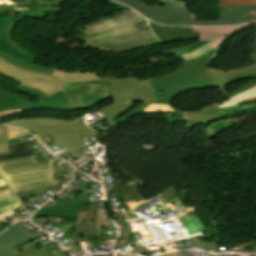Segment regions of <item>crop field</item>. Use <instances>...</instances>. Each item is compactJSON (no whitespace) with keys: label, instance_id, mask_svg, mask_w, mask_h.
<instances>
[{"label":"crop field","instance_id":"obj_22","mask_svg":"<svg viewBox=\"0 0 256 256\" xmlns=\"http://www.w3.org/2000/svg\"><path fill=\"white\" fill-rule=\"evenodd\" d=\"M246 26L241 27H224V28H192V31H199L202 34H232Z\"/></svg>","mask_w":256,"mask_h":256},{"label":"crop field","instance_id":"obj_6","mask_svg":"<svg viewBox=\"0 0 256 256\" xmlns=\"http://www.w3.org/2000/svg\"><path fill=\"white\" fill-rule=\"evenodd\" d=\"M69 86V88H67ZM64 93L72 110L86 108L112 98L109 82L93 81L64 84ZM83 97V98H81Z\"/></svg>","mask_w":256,"mask_h":256},{"label":"crop field","instance_id":"obj_4","mask_svg":"<svg viewBox=\"0 0 256 256\" xmlns=\"http://www.w3.org/2000/svg\"><path fill=\"white\" fill-rule=\"evenodd\" d=\"M99 80L110 81L114 104L98 109L110 121L140 102L149 104L156 100L148 78L137 80L135 76L126 78L99 76Z\"/></svg>","mask_w":256,"mask_h":256},{"label":"crop field","instance_id":"obj_37","mask_svg":"<svg viewBox=\"0 0 256 256\" xmlns=\"http://www.w3.org/2000/svg\"><path fill=\"white\" fill-rule=\"evenodd\" d=\"M0 92H3V93H5V94H7V95H9V96L14 97V98L20 99V100H22L23 102H25L26 104L32 103V102L29 101L28 99H26V98H24V97H21V96L14 95V94H12V93H10V92L4 90V89H1V88H0Z\"/></svg>","mask_w":256,"mask_h":256},{"label":"crop field","instance_id":"obj_44","mask_svg":"<svg viewBox=\"0 0 256 256\" xmlns=\"http://www.w3.org/2000/svg\"><path fill=\"white\" fill-rule=\"evenodd\" d=\"M222 45V44H221ZM221 45L220 46H218V48H217V50H216V52H215V54H214V56H213V58H212V60L209 62V64H208V66H210V64L212 63V61H213V59H214V57H215V55H216V53H217V51L219 50V48L221 47Z\"/></svg>","mask_w":256,"mask_h":256},{"label":"crop field","instance_id":"obj_45","mask_svg":"<svg viewBox=\"0 0 256 256\" xmlns=\"http://www.w3.org/2000/svg\"><path fill=\"white\" fill-rule=\"evenodd\" d=\"M135 186H136V189H137L138 195L140 196L141 200H144V198H143V197H142V195L140 194V191H139V189H138L137 184H135Z\"/></svg>","mask_w":256,"mask_h":256},{"label":"crop field","instance_id":"obj_26","mask_svg":"<svg viewBox=\"0 0 256 256\" xmlns=\"http://www.w3.org/2000/svg\"><path fill=\"white\" fill-rule=\"evenodd\" d=\"M117 192V195H122L125 202L133 201V197L130 191V184L127 185H117L112 187V190H108L107 193Z\"/></svg>","mask_w":256,"mask_h":256},{"label":"crop field","instance_id":"obj_38","mask_svg":"<svg viewBox=\"0 0 256 256\" xmlns=\"http://www.w3.org/2000/svg\"><path fill=\"white\" fill-rule=\"evenodd\" d=\"M10 196H13V193L10 191L9 188L0 190V200Z\"/></svg>","mask_w":256,"mask_h":256},{"label":"crop field","instance_id":"obj_13","mask_svg":"<svg viewBox=\"0 0 256 256\" xmlns=\"http://www.w3.org/2000/svg\"><path fill=\"white\" fill-rule=\"evenodd\" d=\"M96 205H89L88 211L77 213L74 231L70 234L74 242H80L94 237Z\"/></svg>","mask_w":256,"mask_h":256},{"label":"crop field","instance_id":"obj_5","mask_svg":"<svg viewBox=\"0 0 256 256\" xmlns=\"http://www.w3.org/2000/svg\"><path fill=\"white\" fill-rule=\"evenodd\" d=\"M84 41L90 46L106 51L131 49L159 42L151 30L138 32L135 24L88 35Z\"/></svg>","mask_w":256,"mask_h":256},{"label":"crop field","instance_id":"obj_48","mask_svg":"<svg viewBox=\"0 0 256 256\" xmlns=\"http://www.w3.org/2000/svg\"><path fill=\"white\" fill-rule=\"evenodd\" d=\"M8 226V225H7ZM7 226H0V231H2L4 228H6Z\"/></svg>","mask_w":256,"mask_h":256},{"label":"crop field","instance_id":"obj_16","mask_svg":"<svg viewBox=\"0 0 256 256\" xmlns=\"http://www.w3.org/2000/svg\"><path fill=\"white\" fill-rule=\"evenodd\" d=\"M88 202H76L70 204L54 205L51 207H46L44 209H39V211L33 217H45L56 215L61 216H76V212L85 211L88 207Z\"/></svg>","mask_w":256,"mask_h":256},{"label":"crop field","instance_id":"obj_21","mask_svg":"<svg viewBox=\"0 0 256 256\" xmlns=\"http://www.w3.org/2000/svg\"><path fill=\"white\" fill-rule=\"evenodd\" d=\"M230 35H203L199 36L200 41H209L200 48L206 53L220 45Z\"/></svg>","mask_w":256,"mask_h":256},{"label":"crop field","instance_id":"obj_18","mask_svg":"<svg viewBox=\"0 0 256 256\" xmlns=\"http://www.w3.org/2000/svg\"><path fill=\"white\" fill-rule=\"evenodd\" d=\"M13 20L6 18V17H0V51L6 54H10L13 57H19L23 60L29 61L34 63L35 56L30 52H25L23 54L19 53L17 50H15L5 39V32L7 27L12 24Z\"/></svg>","mask_w":256,"mask_h":256},{"label":"crop field","instance_id":"obj_15","mask_svg":"<svg viewBox=\"0 0 256 256\" xmlns=\"http://www.w3.org/2000/svg\"><path fill=\"white\" fill-rule=\"evenodd\" d=\"M149 24L154 35L161 43L182 41L198 37V32H191V28H169L157 26L150 22Z\"/></svg>","mask_w":256,"mask_h":256},{"label":"crop field","instance_id":"obj_49","mask_svg":"<svg viewBox=\"0 0 256 256\" xmlns=\"http://www.w3.org/2000/svg\"><path fill=\"white\" fill-rule=\"evenodd\" d=\"M1 185H6L3 180H0V186Z\"/></svg>","mask_w":256,"mask_h":256},{"label":"crop field","instance_id":"obj_9","mask_svg":"<svg viewBox=\"0 0 256 256\" xmlns=\"http://www.w3.org/2000/svg\"><path fill=\"white\" fill-rule=\"evenodd\" d=\"M5 123L15 125L26 130H34L37 136L71 129L85 124L80 117L70 121L50 118H32L13 120L10 123L9 121Z\"/></svg>","mask_w":256,"mask_h":256},{"label":"crop field","instance_id":"obj_39","mask_svg":"<svg viewBox=\"0 0 256 256\" xmlns=\"http://www.w3.org/2000/svg\"><path fill=\"white\" fill-rule=\"evenodd\" d=\"M199 43H201V42H196V43L184 46V47H179V48H174V49H170V50H165V52H174V51H178V50H182V49L191 48V47H193V46H195V45H197Z\"/></svg>","mask_w":256,"mask_h":256},{"label":"crop field","instance_id":"obj_35","mask_svg":"<svg viewBox=\"0 0 256 256\" xmlns=\"http://www.w3.org/2000/svg\"><path fill=\"white\" fill-rule=\"evenodd\" d=\"M160 1H163V2H166V3H169V4H172V5H175V6L184 8V9H186L187 6H188L186 3H183V2H181V1H176V0H160Z\"/></svg>","mask_w":256,"mask_h":256},{"label":"crop field","instance_id":"obj_11","mask_svg":"<svg viewBox=\"0 0 256 256\" xmlns=\"http://www.w3.org/2000/svg\"><path fill=\"white\" fill-rule=\"evenodd\" d=\"M0 57L7 60L12 65H15L27 70H31V71L51 74L57 77L58 79L64 81L65 83L98 80L97 74L65 73V72L55 71L51 69H46V68L38 67L35 64H31L29 62L23 61L19 58L15 59L1 52H0Z\"/></svg>","mask_w":256,"mask_h":256},{"label":"crop field","instance_id":"obj_41","mask_svg":"<svg viewBox=\"0 0 256 256\" xmlns=\"http://www.w3.org/2000/svg\"><path fill=\"white\" fill-rule=\"evenodd\" d=\"M16 112H22V110L17 109V110L5 111V112L0 113V117L5 116L7 114H11V113H16Z\"/></svg>","mask_w":256,"mask_h":256},{"label":"crop field","instance_id":"obj_29","mask_svg":"<svg viewBox=\"0 0 256 256\" xmlns=\"http://www.w3.org/2000/svg\"><path fill=\"white\" fill-rule=\"evenodd\" d=\"M18 206H21V204L15 196L1 200L0 201V213H3L10 209L16 208Z\"/></svg>","mask_w":256,"mask_h":256},{"label":"crop field","instance_id":"obj_14","mask_svg":"<svg viewBox=\"0 0 256 256\" xmlns=\"http://www.w3.org/2000/svg\"><path fill=\"white\" fill-rule=\"evenodd\" d=\"M36 238L20 224L15 223L0 234V254L16 249V247Z\"/></svg>","mask_w":256,"mask_h":256},{"label":"crop field","instance_id":"obj_30","mask_svg":"<svg viewBox=\"0 0 256 256\" xmlns=\"http://www.w3.org/2000/svg\"><path fill=\"white\" fill-rule=\"evenodd\" d=\"M145 106H147V104L144 103H140L138 104L136 107H134L133 109H131L130 111L126 112L123 116L115 119L114 121H112V123L116 126L118 124H120L121 122L129 119L130 117H132L133 115H135L136 113H138L140 110H142Z\"/></svg>","mask_w":256,"mask_h":256},{"label":"crop field","instance_id":"obj_3","mask_svg":"<svg viewBox=\"0 0 256 256\" xmlns=\"http://www.w3.org/2000/svg\"><path fill=\"white\" fill-rule=\"evenodd\" d=\"M58 158L36 162L34 156L0 162V173L14 193L52 185L53 163Z\"/></svg>","mask_w":256,"mask_h":256},{"label":"crop field","instance_id":"obj_8","mask_svg":"<svg viewBox=\"0 0 256 256\" xmlns=\"http://www.w3.org/2000/svg\"><path fill=\"white\" fill-rule=\"evenodd\" d=\"M16 89L31 93L32 95L37 96L41 102L26 105L22 101L16 100L14 98H11L9 96H6L0 93V111L17 109V108H21L23 112L31 109H53V110L70 111L67 104V99L63 91H59L58 93L48 97L34 89L23 87L20 85Z\"/></svg>","mask_w":256,"mask_h":256},{"label":"crop field","instance_id":"obj_23","mask_svg":"<svg viewBox=\"0 0 256 256\" xmlns=\"http://www.w3.org/2000/svg\"><path fill=\"white\" fill-rule=\"evenodd\" d=\"M251 77H256V72L255 73H251V74H247V75H240V76H236V77H232V78H228L227 83L228 82H233V81H237L240 79H245V78H251ZM256 85V80L255 81H250L248 83H246L245 85L241 86L240 88H237L233 91H231V93L229 94L231 97L245 91L248 90L252 87H254Z\"/></svg>","mask_w":256,"mask_h":256},{"label":"crop field","instance_id":"obj_24","mask_svg":"<svg viewBox=\"0 0 256 256\" xmlns=\"http://www.w3.org/2000/svg\"><path fill=\"white\" fill-rule=\"evenodd\" d=\"M254 97H256V88H254L246 93H243L239 96H236L228 101L219 103L218 105L220 108L234 106V105L241 104L242 103L241 101H243V100L251 99Z\"/></svg>","mask_w":256,"mask_h":256},{"label":"crop field","instance_id":"obj_33","mask_svg":"<svg viewBox=\"0 0 256 256\" xmlns=\"http://www.w3.org/2000/svg\"><path fill=\"white\" fill-rule=\"evenodd\" d=\"M16 22L14 21L13 24L11 26H9L8 30H7V33H6V38L8 40V42L15 48L17 49L18 51L20 52H25L27 50L23 49L21 46H19L15 41L14 39L12 38L11 36V33H12V30L15 26Z\"/></svg>","mask_w":256,"mask_h":256},{"label":"crop field","instance_id":"obj_19","mask_svg":"<svg viewBox=\"0 0 256 256\" xmlns=\"http://www.w3.org/2000/svg\"><path fill=\"white\" fill-rule=\"evenodd\" d=\"M39 143L40 142L38 140H34V141H27V142L11 144V145H9L11 153L1 155L0 161L33 155L30 150L29 145L39 144Z\"/></svg>","mask_w":256,"mask_h":256},{"label":"crop field","instance_id":"obj_28","mask_svg":"<svg viewBox=\"0 0 256 256\" xmlns=\"http://www.w3.org/2000/svg\"><path fill=\"white\" fill-rule=\"evenodd\" d=\"M0 256H49L47 252L39 254L37 249L32 246L19 253L18 249L2 254Z\"/></svg>","mask_w":256,"mask_h":256},{"label":"crop field","instance_id":"obj_40","mask_svg":"<svg viewBox=\"0 0 256 256\" xmlns=\"http://www.w3.org/2000/svg\"><path fill=\"white\" fill-rule=\"evenodd\" d=\"M9 11H15L14 5L0 6V12H9Z\"/></svg>","mask_w":256,"mask_h":256},{"label":"crop field","instance_id":"obj_34","mask_svg":"<svg viewBox=\"0 0 256 256\" xmlns=\"http://www.w3.org/2000/svg\"><path fill=\"white\" fill-rule=\"evenodd\" d=\"M179 191L177 190V188L173 185L170 188H168L167 190L157 194L156 196H161L164 200H168L170 199L172 196H174L176 193H178Z\"/></svg>","mask_w":256,"mask_h":256},{"label":"crop field","instance_id":"obj_50","mask_svg":"<svg viewBox=\"0 0 256 256\" xmlns=\"http://www.w3.org/2000/svg\"><path fill=\"white\" fill-rule=\"evenodd\" d=\"M0 179H1V177H0Z\"/></svg>","mask_w":256,"mask_h":256},{"label":"crop field","instance_id":"obj_25","mask_svg":"<svg viewBox=\"0 0 256 256\" xmlns=\"http://www.w3.org/2000/svg\"><path fill=\"white\" fill-rule=\"evenodd\" d=\"M256 108V103H249V104H242L234 107H229V108H223L217 110L221 119L225 118L224 116L230 115V114H237L240 111L243 110H250V109H255Z\"/></svg>","mask_w":256,"mask_h":256},{"label":"crop field","instance_id":"obj_1","mask_svg":"<svg viewBox=\"0 0 256 256\" xmlns=\"http://www.w3.org/2000/svg\"><path fill=\"white\" fill-rule=\"evenodd\" d=\"M140 14L165 25H230L244 24L256 20V5L219 8L218 20H195V14L184 9L158 1L148 6L140 0H116Z\"/></svg>","mask_w":256,"mask_h":256},{"label":"crop field","instance_id":"obj_47","mask_svg":"<svg viewBox=\"0 0 256 256\" xmlns=\"http://www.w3.org/2000/svg\"><path fill=\"white\" fill-rule=\"evenodd\" d=\"M14 130H18V129H14V128H9L8 127V131H14Z\"/></svg>","mask_w":256,"mask_h":256},{"label":"crop field","instance_id":"obj_7","mask_svg":"<svg viewBox=\"0 0 256 256\" xmlns=\"http://www.w3.org/2000/svg\"><path fill=\"white\" fill-rule=\"evenodd\" d=\"M0 75L12 78L23 86L37 89L50 96L59 90H62L63 83L57 78L37 72L27 71L0 59Z\"/></svg>","mask_w":256,"mask_h":256},{"label":"crop field","instance_id":"obj_20","mask_svg":"<svg viewBox=\"0 0 256 256\" xmlns=\"http://www.w3.org/2000/svg\"><path fill=\"white\" fill-rule=\"evenodd\" d=\"M193 116L195 119L185 121L188 128L220 118L214 105L203 111L193 113Z\"/></svg>","mask_w":256,"mask_h":256},{"label":"crop field","instance_id":"obj_36","mask_svg":"<svg viewBox=\"0 0 256 256\" xmlns=\"http://www.w3.org/2000/svg\"><path fill=\"white\" fill-rule=\"evenodd\" d=\"M29 135L23 131L8 132V139Z\"/></svg>","mask_w":256,"mask_h":256},{"label":"crop field","instance_id":"obj_32","mask_svg":"<svg viewBox=\"0 0 256 256\" xmlns=\"http://www.w3.org/2000/svg\"><path fill=\"white\" fill-rule=\"evenodd\" d=\"M256 4V0H219V7Z\"/></svg>","mask_w":256,"mask_h":256},{"label":"crop field","instance_id":"obj_46","mask_svg":"<svg viewBox=\"0 0 256 256\" xmlns=\"http://www.w3.org/2000/svg\"><path fill=\"white\" fill-rule=\"evenodd\" d=\"M249 102H256V98L248 100V101H244L243 103H249Z\"/></svg>","mask_w":256,"mask_h":256},{"label":"crop field","instance_id":"obj_27","mask_svg":"<svg viewBox=\"0 0 256 256\" xmlns=\"http://www.w3.org/2000/svg\"><path fill=\"white\" fill-rule=\"evenodd\" d=\"M178 113L175 109H173L170 105H160V104H150L140 113Z\"/></svg>","mask_w":256,"mask_h":256},{"label":"crop field","instance_id":"obj_10","mask_svg":"<svg viewBox=\"0 0 256 256\" xmlns=\"http://www.w3.org/2000/svg\"><path fill=\"white\" fill-rule=\"evenodd\" d=\"M141 21H145V19L137 15L135 12L127 10L112 17H108L103 20L85 25L84 33L85 35L93 34L134 24Z\"/></svg>","mask_w":256,"mask_h":256},{"label":"crop field","instance_id":"obj_12","mask_svg":"<svg viewBox=\"0 0 256 256\" xmlns=\"http://www.w3.org/2000/svg\"><path fill=\"white\" fill-rule=\"evenodd\" d=\"M95 136L92 130L86 126L82 129L71 131L62 135L52 137L57 141L65 150H67L72 156L79 158L85 155L78 148L85 145L82 140ZM53 141V142H55ZM51 143V142H49ZM48 144V143H45Z\"/></svg>","mask_w":256,"mask_h":256},{"label":"crop field","instance_id":"obj_17","mask_svg":"<svg viewBox=\"0 0 256 256\" xmlns=\"http://www.w3.org/2000/svg\"><path fill=\"white\" fill-rule=\"evenodd\" d=\"M207 75L214 80V83L218 86V88L226 95L227 98H231L226 89V81L225 78L244 74V73H251L256 71V65L246 66L241 69L232 70V71H221L214 68L209 67L208 69L204 70Z\"/></svg>","mask_w":256,"mask_h":256},{"label":"crop field","instance_id":"obj_31","mask_svg":"<svg viewBox=\"0 0 256 256\" xmlns=\"http://www.w3.org/2000/svg\"><path fill=\"white\" fill-rule=\"evenodd\" d=\"M7 127L0 126V154L8 153Z\"/></svg>","mask_w":256,"mask_h":256},{"label":"crop field","instance_id":"obj_2","mask_svg":"<svg viewBox=\"0 0 256 256\" xmlns=\"http://www.w3.org/2000/svg\"><path fill=\"white\" fill-rule=\"evenodd\" d=\"M216 48L197 59L185 62V66L162 78H149L157 100L153 103L170 104L174 96L186 91L217 87L203 71ZM191 81V83H189Z\"/></svg>","mask_w":256,"mask_h":256},{"label":"crop field","instance_id":"obj_43","mask_svg":"<svg viewBox=\"0 0 256 256\" xmlns=\"http://www.w3.org/2000/svg\"><path fill=\"white\" fill-rule=\"evenodd\" d=\"M162 256H178V254H177V252H174V253H169V254L162 255Z\"/></svg>","mask_w":256,"mask_h":256},{"label":"crop field","instance_id":"obj_42","mask_svg":"<svg viewBox=\"0 0 256 256\" xmlns=\"http://www.w3.org/2000/svg\"><path fill=\"white\" fill-rule=\"evenodd\" d=\"M84 126H86V125H84ZM84 126H80V127L74 128V129L82 128ZM74 129H71V130H74ZM71 130H67V131H63V132H59V133H54V134H48V135L40 136V138L48 137V136H53V135H57V134H61V133H65V132H68V131H71Z\"/></svg>","mask_w":256,"mask_h":256}]
</instances>
